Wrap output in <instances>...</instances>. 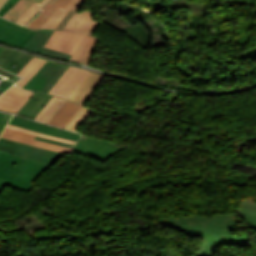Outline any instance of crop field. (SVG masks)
Instances as JSON below:
<instances>
[{
    "label": "crop field",
    "instance_id": "3",
    "mask_svg": "<svg viewBox=\"0 0 256 256\" xmlns=\"http://www.w3.org/2000/svg\"><path fill=\"white\" fill-rule=\"evenodd\" d=\"M0 150L48 165L54 163L61 154L52 150L7 140L1 137Z\"/></svg>",
    "mask_w": 256,
    "mask_h": 256
},
{
    "label": "crop field",
    "instance_id": "32",
    "mask_svg": "<svg viewBox=\"0 0 256 256\" xmlns=\"http://www.w3.org/2000/svg\"><path fill=\"white\" fill-rule=\"evenodd\" d=\"M37 140H41V141H45V142H49V143H53V144H57V145H61V146H66V147H72L73 145H69V144H65V143H61V142H57V141H53V140H49V139H45V138H41V137H37Z\"/></svg>",
    "mask_w": 256,
    "mask_h": 256
},
{
    "label": "crop field",
    "instance_id": "30",
    "mask_svg": "<svg viewBox=\"0 0 256 256\" xmlns=\"http://www.w3.org/2000/svg\"><path fill=\"white\" fill-rule=\"evenodd\" d=\"M18 0H8L7 3L0 9V16L2 17Z\"/></svg>",
    "mask_w": 256,
    "mask_h": 256
},
{
    "label": "crop field",
    "instance_id": "15",
    "mask_svg": "<svg viewBox=\"0 0 256 256\" xmlns=\"http://www.w3.org/2000/svg\"><path fill=\"white\" fill-rule=\"evenodd\" d=\"M244 140L256 141V136ZM237 200L239 201L240 207L234 209V212L245 218L248 226L256 229V199L243 196Z\"/></svg>",
    "mask_w": 256,
    "mask_h": 256
},
{
    "label": "crop field",
    "instance_id": "5",
    "mask_svg": "<svg viewBox=\"0 0 256 256\" xmlns=\"http://www.w3.org/2000/svg\"><path fill=\"white\" fill-rule=\"evenodd\" d=\"M122 147L124 146L82 136L73 149L92 156L105 163Z\"/></svg>",
    "mask_w": 256,
    "mask_h": 256
},
{
    "label": "crop field",
    "instance_id": "31",
    "mask_svg": "<svg viewBox=\"0 0 256 256\" xmlns=\"http://www.w3.org/2000/svg\"><path fill=\"white\" fill-rule=\"evenodd\" d=\"M0 23L13 26V27H15V28L21 29V30L26 31V32H28V33H29V31H30V29L21 27V26H19V25H17V24L11 23V22H9V21H7V20H4V19H1V18H0Z\"/></svg>",
    "mask_w": 256,
    "mask_h": 256
},
{
    "label": "crop field",
    "instance_id": "21",
    "mask_svg": "<svg viewBox=\"0 0 256 256\" xmlns=\"http://www.w3.org/2000/svg\"><path fill=\"white\" fill-rule=\"evenodd\" d=\"M46 60L33 57L18 73V75L24 77L23 80L16 85L23 87L24 84L36 73V71L45 64Z\"/></svg>",
    "mask_w": 256,
    "mask_h": 256
},
{
    "label": "crop field",
    "instance_id": "7",
    "mask_svg": "<svg viewBox=\"0 0 256 256\" xmlns=\"http://www.w3.org/2000/svg\"><path fill=\"white\" fill-rule=\"evenodd\" d=\"M84 34L55 31L44 47L73 55Z\"/></svg>",
    "mask_w": 256,
    "mask_h": 256
},
{
    "label": "crop field",
    "instance_id": "9",
    "mask_svg": "<svg viewBox=\"0 0 256 256\" xmlns=\"http://www.w3.org/2000/svg\"><path fill=\"white\" fill-rule=\"evenodd\" d=\"M33 94L34 92L13 86L8 92L0 97V110L16 114Z\"/></svg>",
    "mask_w": 256,
    "mask_h": 256
},
{
    "label": "crop field",
    "instance_id": "12",
    "mask_svg": "<svg viewBox=\"0 0 256 256\" xmlns=\"http://www.w3.org/2000/svg\"><path fill=\"white\" fill-rule=\"evenodd\" d=\"M36 32L27 34L13 27L0 24V42L22 49Z\"/></svg>",
    "mask_w": 256,
    "mask_h": 256
},
{
    "label": "crop field",
    "instance_id": "23",
    "mask_svg": "<svg viewBox=\"0 0 256 256\" xmlns=\"http://www.w3.org/2000/svg\"><path fill=\"white\" fill-rule=\"evenodd\" d=\"M92 110L93 108L81 106L78 112L72 117L64 128L71 131H77Z\"/></svg>",
    "mask_w": 256,
    "mask_h": 256
},
{
    "label": "crop field",
    "instance_id": "8",
    "mask_svg": "<svg viewBox=\"0 0 256 256\" xmlns=\"http://www.w3.org/2000/svg\"><path fill=\"white\" fill-rule=\"evenodd\" d=\"M10 123L30 129V130L46 133L53 136L63 137V138H67L75 141H77V139L80 137L79 134L62 130V129L49 126L43 123L35 122L33 120H30L24 117H18L16 115L12 117Z\"/></svg>",
    "mask_w": 256,
    "mask_h": 256
},
{
    "label": "crop field",
    "instance_id": "2",
    "mask_svg": "<svg viewBox=\"0 0 256 256\" xmlns=\"http://www.w3.org/2000/svg\"><path fill=\"white\" fill-rule=\"evenodd\" d=\"M48 166L0 151V191L7 184L30 190L35 177Z\"/></svg>",
    "mask_w": 256,
    "mask_h": 256
},
{
    "label": "crop field",
    "instance_id": "28",
    "mask_svg": "<svg viewBox=\"0 0 256 256\" xmlns=\"http://www.w3.org/2000/svg\"><path fill=\"white\" fill-rule=\"evenodd\" d=\"M11 116L12 115L5 114V113H0V133L4 129L7 122L10 120Z\"/></svg>",
    "mask_w": 256,
    "mask_h": 256
},
{
    "label": "crop field",
    "instance_id": "10",
    "mask_svg": "<svg viewBox=\"0 0 256 256\" xmlns=\"http://www.w3.org/2000/svg\"><path fill=\"white\" fill-rule=\"evenodd\" d=\"M94 14L95 12L91 11L75 12L63 30L92 34L99 24L98 21L92 19Z\"/></svg>",
    "mask_w": 256,
    "mask_h": 256
},
{
    "label": "crop field",
    "instance_id": "34",
    "mask_svg": "<svg viewBox=\"0 0 256 256\" xmlns=\"http://www.w3.org/2000/svg\"><path fill=\"white\" fill-rule=\"evenodd\" d=\"M6 0H0V7L5 3Z\"/></svg>",
    "mask_w": 256,
    "mask_h": 256
},
{
    "label": "crop field",
    "instance_id": "29",
    "mask_svg": "<svg viewBox=\"0 0 256 256\" xmlns=\"http://www.w3.org/2000/svg\"><path fill=\"white\" fill-rule=\"evenodd\" d=\"M74 11L69 10L67 14L64 16V18L60 21V23L56 26L55 29L62 30L66 22L69 20V18L72 16Z\"/></svg>",
    "mask_w": 256,
    "mask_h": 256
},
{
    "label": "crop field",
    "instance_id": "35",
    "mask_svg": "<svg viewBox=\"0 0 256 256\" xmlns=\"http://www.w3.org/2000/svg\"><path fill=\"white\" fill-rule=\"evenodd\" d=\"M35 1H37V2L41 3L43 0H35Z\"/></svg>",
    "mask_w": 256,
    "mask_h": 256
},
{
    "label": "crop field",
    "instance_id": "14",
    "mask_svg": "<svg viewBox=\"0 0 256 256\" xmlns=\"http://www.w3.org/2000/svg\"><path fill=\"white\" fill-rule=\"evenodd\" d=\"M71 1L72 0H49L25 26L32 29L40 28L59 6L65 9Z\"/></svg>",
    "mask_w": 256,
    "mask_h": 256
},
{
    "label": "crop field",
    "instance_id": "26",
    "mask_svg": "<svg viewBox=\"0 0 256 256\" xmlns=\"http://www.w3.org/2000/svg\"><path fill=\"white\" fill-rule=\"evenodd\" d=\"M7 128L23 131V132L30 133V134H33V135H38V136H42V137H46V138H50V139H54V140H58V141H62V142L73 144V145L75 144L74 141H70V140H66V139H62V138H58V137H53V136L45 135V134H42V133L30 131V130H27V129H24V128H21V127H18V126L10 125V124L7 126Z\"/></svg>",
    "mask_w": 256,
    "mask_h": 256
},
{
    "label": "crop field",
    "instance_id": "1",
    "mask_svg": "<svg viewBox=\"0 0 256 256\" xmlns=\"http://www.w3.org/2000/svg\"><path fill=\"white\" fill-rule=\"evenodd\" d=\"M237 226V217L232 213L211 216L195 215L164 219L161 227L173 229L189 236L204 238L198 255L214 256L217 244L248 246L251 237H231L232 229Z\"/></svg>",
    "mask_w": 256,
    "mask_h": 256
},
{
    "label": "crop field",
    "instance_id": "17",
    "mask_svg": "<svg viewBox=\"0 0 256 256\" xmlns=\"http://www.w3.org/2000/svg\"><path fill=\"white\" fill-rule=\"evenodd\" d=\"M1 137L11 139V140H15V141H19V142H23V143L36 145V146H40V147H44V148H48V149H52V150H56V151H60V152H69L70 151L69 148H65V147H61V146H57V145H53V144H48V143L36 141V140H34L35 136H33V135H29V134L18 132V131L9 130L7 128L5 129V131L1 135Z\"/></svg>",
    "mask_w": 256,
    "mask_h": 256
},
{
    "label": "crop field",
    "instance_id": "22",
    "mask_svg": "<svg viewBox=\"0 0 256 256\" xmlns=\"http://www.w3.org/2000/svg\"><path fill=\"white\" fill-rule=\"evenodd\" d=\"M84 0H73L69 6L64 10L62 8H58L57 11L50 17V19L41 27V28H52L54 29L55 26L59 23L65 13L71 9L77 11Z\"/></svg>",
    "mask_w": 256,
    "mask_h": 256
},
{
    "label": "crop field",
    "instance_id": "16",
    "mask_svg": "<svg viewBox=\"0 0 256 256\" xmlns=\"http://www.w3.org/2000/svg\"><path fill=\"white\" fill-rule=\"evenodd\" d=\"M103 76L104 75L90 72L86 79L77 88L70 100L80 104H84L91 96L92 92L94 91Z\"/></svg>",
    "mask_w": 256,
    "mask_h": 256
},
{
    "label": "crop field",
    "instance_id": "13",
    "mask_svg": "<svg viewBox=\"0 0 256 256\" xmlns=\"http://www.w3.org/2000/svg\"><path fill=\"white\" fill-rule=\"evenodd\" d=\"M31 58L32 56L4 48L0 52V67L17 74Z\"/></svg>",
    "mask_w": 256,
    "mask_h": 256
},
{
    "label": "crop field",
    "instance_id": "27",
    "mask_svg": "<svg viewBox=\"0 0 256 256\" xmlns=\"http://www.w3.org/2000/svg\"><path fill=\"white\" fill-rule=\"evenodd\" d=\"M47 0H44L41 4L35 3L33 6H31L17 21L16 23L24 24L28 21V19L46 2Z\"/></svg>",
    "mask_w": 256,
    "mask_h": 256
},
{
    "label": "crop field",
    "instance_id": "25",
    "mask_svg": "<svg viewBox=\"0 0 256 256\" xmlns=\"http://www.w3.org/2000/svg\"><path fill=\"white\" fill-rule=\"evenodd\" d=\"M65 102L66 100L57 98L49 109L40 117L39 121L48 123Z\"/></svg>",
    "mask_w": 256,
    "mask_h": 256
},
{
    "label": "crop field",
    "instance_id": "20",
    "mask_svg": "<svg viewBox=\"0 0 256 256\" xmlns=\"http://www.w3.org/2000/svg\"><path fill=\"white\" fill-rule=\"evenodd\" d=\"M80 106L81 105L67 101L66 104L56 113L49 124L63 128Z\"/></svg>",
    "mask_w": 256,
    "mask_h": 256
},
{
    "label": "crop field",
    "instance_id": "11",
    "mask_svg": "<svg viewBox=\"0 0 256 256\" xmlns=\"http://www.w3.org/2000/svg\"><path fill=\"white\" fill-rule=\"evenodd\" d=\"M53 33V30H39L27 43L24 49L68 61L71 55L43 48Z\"/></svg>",
    "mask_w": 256,
    "mask_h": 256
},
{
    "label": "crop field",
    "instance_id": "19",
    "mask_svg": "<svg viewBox=\"0 0 256 256\" xmlns=\"http://www.w3.org/2000/svg\"><path fill=\"white\" fill-rule=\"evenodd\" d=\"M98 41V39L86 35L70 60L88 65Z\"/></svg>",
    "mask_w": 256,
    "mask_h": 256
},
{
    "label": "crop field",
    "instance_id": "6",
    "mask_svg": "<svg viewBox=\"0 0 256 256\" xmlns=\"http://www.w3.org/2000/svg\"><path fill=\"white\" fill-rule=\"evenodd\" d=\"M88 74L89 71L69 66L49 93L69 99Z\"/></svg>",
    "mask_w": 256,
    "mask_h": 256
},
{
    "label": "crop field",
    "instance_id": "24",
    "mask_svg": "<svg viewBox=\"0 0 256 256\" xmlns=\"http://www.w3.org/2000/svg\"><path fill=\"white\" fill-rule=\"evenodd\" d=\"M32 0H19L4 16L3 18L16 21L32 4Z\"/></svg>",
    "mask_w": 256,
    "mask_h": 256
},
{
    "label": "crop field",
    "instance_id": "33",
    "mask_svg": "<svg viewBox=\"0 0 256 256\" xmlns=\"http://www.w3.org/2000/svg\"><path fill=\"white\" fill-rule=\"evenodd\" d=\"M56 99V97H52L46 106L40 111V113L36 116L35 120H38V118L48 109V107L52 104V102Z\"/></svg>",
    "mask_w": 256,
    "mask_h": 256
},
{
    "label": "crop field",
    "instance_id": "36",
    "mask_svg": "<svg viewBox=\"0 0 256 256\" xmlns=\"http://www.w3.org/2000/svg\"><path fill=\"white\" fill-rule=\"evenodd\" d=\"M3 48L0 47V51L2 50Z\"/></svg>",
    "mask_w": 256,
    "mask_h": 256
},
{
    "label": "crop field",
    "instance_id": "4",
    "mask_svg": "<svg viewBox=\"0 0 256 256\" xmlns=\"http://www.w3.org/2000/svg\"><path fill=\"white\" fill-rule=\"evenodd\" d=\"M67 68L66 65L47 61L26 83L24 88L48 93Z\"/></svg>",
    "mask_w": 256,
    "mask_h": 256
},
{
    "label": "crop field",
    "instance_id": "18",
    "mask_svg": "<svg viewBox=\"0 0 256 256\" xmlns=\"http://www.w3.org/2000/svg\"><path fill=\"white\" fill-rule=\"evenodd\" d=\"M51 97V95L43 94L37 91L35 95L30 98L25 103V105L18 111L17 114L34 119Z\"/></svg>",
    "mask_w": 256,
    "mask_h": 256
}]
</instances>
